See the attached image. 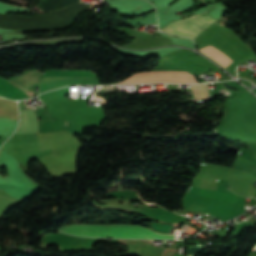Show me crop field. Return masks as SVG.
<instances>
[{
  "instance_id": "crop-field-5",
  "label": "crop field",
  "mask_w": 256,
  "mask_h": 256,
  "mask_svg": "<svg viewBox=\"0 0 256 256\" xmlns=\"http://www.w3.org/2000/svg\"><path fill=\"white\" fill-rule=\"evenodd\" d=\"M199 51H201V52L205 53L206 55H208L209 57L215 59L216 61H218L223 66L233 62L227 56H225L223 53H221L220 51H218L217 49L213 48L210 45L202 48Z\"/></svg>"
},
{
  "instance_id": "crop-field-1",
  "label": "crop field",
  "mask_w": 256,
  "mask_h": 256,
  "mask_svg": "<svg viewBox=\"0 0 256 256\" xmlns=\"http://www.w3.org/2000/svg\"><path fill=\"white\" fill-rule=\"evenodd\" d=\"M62 232L90 237H120V238H164L175 239V235L156 234L149 229L137 226L110 225L85 226L77 225Z\"/></svg>"
},
{
  "instance_id": "crop-field-3",
  "label": "crop field",
  "mask_w": 256,
  "mask_h": 256,
  "mask_svg": "<svg viewBox=\"0 0 256 256\" xmlns=\"http://www.w3.org/2000/svg\"><path fill=\"white\" fill-rule=\"evenodd\" d=\"M194 75L190 72L159 71L137 73L128 79L116 84L146 83V82H175V83H197Z\"/></svg>"
},
{
  "instance_id": "crop-field-7",
  "label": "crop field",
  "mask_w": 256,
  "mask_h": 256,
  "mask_svg": "<svg viewBox=\"0 0 256 256\" xmlns=\"http://www.w3.org/2000/svg\"><path fill=\"white\" fill-rule=\"evenodd\" d=\"M93 7H95V6L91 5L89 9H92Z\"/></svg>"
},
{
  "instance_id": "crop-field-2",
  "label": "crop field",
  "mask_w": 256,
  "mask_h": 256,
  "mask_svg": "<svg viewBox=\"0 0 256 256\" xmlns=\"http://www.w3.org/2000/svg\"><path fill=\"white\" fill-rule=\"evenodd\" d=\"M213 22H215L213 18L206 14H202L183 21L171 22L163 29V31L194 39Z\"/></svg>"
},
{
  "instance_id": "crop-field-4",
  "label": "crop field",
  "mask_w": 256,
  "mask_h": 256,
  "mask_svg": "<svg viewBox=\"0 0 256 256\" xmlns=\"http://www.w3.org/2000/svg\"><path fill=\"white\" fill-rule=\"evenodd\" d=\"M39 77H40V75L37 72L30 71V72H27V73H25L24 75H22L18 78L11 79V80H8V81L10 83H12L13 85H15L16 87H18L19 89H21L22 91L26 92V91H29L28 90L29 86L38 83ZM26 94H28L29 96L35 95L31 91L26 92Z\"/></svg>"
},
{
  "instance_id": "crop-field-6",
  "label": "crop field",
  "mask_w": 256,
  "mask_h": 256,
  "mask_svg": "<svg viewBox=\"0 0 256 256\" xmlns=\"http://www.w3.org/2000/svg\"><path fill=\"white\" fill-rule=\"evenodd\" d=\"M192 87V85H191ZM194 90H192L194 94L195 100H207L209 99L208 93L206 91V84H196L193 85ZM192 87V89H193Z\"/></svg>"
}]
</instances>
